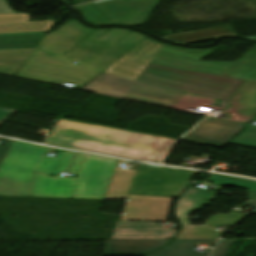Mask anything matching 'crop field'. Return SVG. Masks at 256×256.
I'll use <instances>...</instances> for the list:
<instances>
[{
	"label": "crop field",
	"instance_id": "ac0d7876",
	"mask_svg": "<svg viewBox=\"0 0 256 256\" xmlns=\"http://www.w3.org/2000/svg\"><path fill=\"white\" fill-rule=\"evenodd\" d=\"M146 38L70 20L44 36L15 76L81 89Z\"/></svg>",
	"mask_w": 256,
	"mask_h": 256
},
{
	"label": "crop field",
	"instance_id": "34b2d1b8",
	"mask_svg": "<svg viewBox=\"0 0 256 256\" xmlns=\"http://www.w3.org/2000/svg\"><path fill=\"white\" fill-rule=\"evenodd\" d=\"M153 138V135L60 119L45 144L142 161Z\"/></svg>",
	"mask_w": 256,
	"mask_h": 256
},
{
	"label": "crop field",
	"instance_id": "22f410ed",
	"mask_svg": "<svg viewBox=\"0 0 256 256\" xmlns=\"http://www.w3.org/2000/svg\"><path fill=\"white\" fill-rule=\"evenodd\" d=\"M175 139H169L164 137L155 136L150 148L148 149L143 161L162 163L166 155L171 150Z\"/></svg>",
	"mask_w": 256,
	"mask_h": 256
},
{
	"label": "crop field",
	"instance_id": "4177f3b9",
	"mask_svg": "<svg viewBox=\"0 0 256 256\" xmlns=\"http://www.w3.org/2000/svg\"><path fill=\"white\" fill-rule=\"evenodd\" d=\"M242 205H246V206H250V207L256 208V202L250 201V200L246 201V202L243 203Z\"/></svg>",
	"mask_w": 256,
	"mask_h": 256
},
{
	"label": "crop field",
	"instance_id": "730fd06b",
	"mask_svg": "<svg viewBox=\"0 0 256 256\" xmlns=\"http://www.w3.org/2000/svg\"><path fill=\"white\" fill-rule=\"evenodd\" d=\"M245 39H249V40H253L256 41V36H252V37H244Z\"/></svg>",
	"mask_w": 256,
	"mask_h": 256
},
{
	"label": "crop field",
	"instance_id": "3316defc",
	"mask_svg": "<svg viewBox=\"0 0 256 256\" xmlns=\"http://www.w3.org/2000/svg\"><path fill=\"white\" fill-rule=\"evenodd\" d=\"M169 241L157 240H106L103 256H144Z\"/></svg>",
	"mask_w": 256,
	"mask_h": 256
},
{
	"label": "crop field",
	"instance_id": "e52e79f7",
	"mask_svg": "<svg viewBox=\"0 0 256 256\" xmlns=\"http://www.w3.org/2000/svg\"><path fill=\"white\" fill-rule=\"evenodd\" d=\"M117 161L86 154L76 177L72 198L103 199Z\"/></svg>",
	"mask_w": 256,
	"mask_h": 256
},
{
	"label": "crop field",
	"instance_id": "dd49c442",
	"mask_svg": "<svg viewBox=\"0 0 256 256\" xmlns=\"http://www.w3.org/2000/svg\"><path fill=\"white\" fill-rule=\"evenodd\" d=\"M193 174L195 172L140 164L129 194L177 197Z\"/></svg>",
	"mask_w": 256,
	"mask_h": 256
},
{
	"label": "crop field",
	"instance_id": "8a807250",
	"mask_svg": "<svg viewBox=\"0 0 256 256\" xmlns=\"http://www.w3.org/2000/svg\"><path fill=\"white\" fill-rule=\"evenodd\" d=\"M209 52L171 48L147 38L82 90L179 110L211 108L220 99L223 111L230 101L228 120L246 124L256 111V55L200 62Z\"/></svg>",
	"mask_w": 256,
	"mask_h": 256
},
{
	"label": "crop field",
	"instance_id": "214f88e0",
	"mask_svg": "<svg viewBox=\"0 0 256 256\" xmlns=\"http://www.w3.org/2000/svg\"><path fill=\"white\" fill-rule=\"evenodd\" d=\"M85 154L83 153H77L76 155V158L74 160V163H73V166L71 168V171L70 173H74V174H77L78 173V170L80 168V165H81V162L83 160V157H84Z\"/></svg>",
	"mask_w": 256,
	"mask_h": 256
},
{
	"label": "crop field",
	"instance_id": "412701ff",
	"mask_svg": "<svg viewBox=\"0 0 256 256\" xmlns=\"http://www.w3.org/2000/svg\"><path fill=\"white\" fill-rule=\"evenodd\" d=\"M49 149L13 141L0 165V196L30 197L34 171L55 174L65 151L45 157Z\"/></svg>",
	"mask_w": 256,
	"mask_h": 256
},
{
	"label": "crop field",
	"instance_id": "d8731c3e",
	"mask_svg": "<svg viewBox=\"0 0 256 256\" xmlns=\"http://www.w3.org/2000/svg\"><path fill=\"white\" fill-rule=\"evenodd\" d=\"M244 126L243 124L208 117L182 140L222 147Z\"/></svg>",
	"mask_w": 256,
	"mask_h": 256
},
{
	"label": "crop field",
	"instance_id": "733c2abd",
	"mask_svg": "<svg viewBox=\"0 0 256 256\" xmlns=\"http://www.w3.org/2000/svg\"><path fill=\"white\" fill-rule=\"evenodd\" d=\"M231 144L256 148V126L248 125Z\"/></svg>",
	"mask_w": 256,
	"mask_h": 256
},
{
	"label": "crop field",
	"instance_id": "bc2a9ffb",
	"mask_svg": "<svg viewBox=\"0 0 256 256\" xmlns=\"http://www.w3.org/2000/svg\"><path fill=\"white\" fill-rule=\"evenodd\" d=\"M73 155H74V152H69V151L65 152L63 159L59 165V168L56 172V174H58V176L60 175V172H68Z\"/></svg>",
	"mask_w": 256,
	"mask_h": 256
},
{
	"label": "crop field",
	"instance_id": "5a996713",
	"mask_svg": "<svg viewBox=\"0 0 256 256\" xmlns=\"http://www.w3.org/2000/svg\"><path fill=\"white\" fill-rule=\"evenodd\" d=\"M75 179L52 178L35 172L31 197L71 198Z\"/></svg>",
	"mask_w": 256,
	"mask_h": 256
},
{
	"label": "crop field",
	"instance_id": "cbeb9de0",
	"mask_svg": "<svg viewBox=\"0 0 256 256\" xmlns=\"http://www.w3.org/2000/svg\"><path fill=\"white\" fill-rule=\"evenodd\" d=\"M209 181L219 185L256 190V182L237 177L211 174Z\"/></svg>",
	"mask_w": 256,
	"mask_h": 256
},
{
	"label": "crop field",
	"instance_id": "a9b5d70f",
	"mask_svg": "<svg viewBox=\"0 0 256 256\" xmlns=\"http://www.w3.org/2000/svg\"><path fill=\"white\" fill-rule=\"evenodd\" d=\"M249 195L247 198L256 200V191L247 190Z\"/></svg>",
	"mask_w": 256,
	"mask_h": 256
},
{
	"label": "crop field",
	"instance_id": "ae1a2a85",
	"mask_svg": "<svg viewBox=\"0 0 256 256\" xmlns=\"http://www.w3.org/2000/svg\"><path fill=\"white\" fill-rule=\"evenodd\" d=\"M254 214H256V212H254Z\"/></svg>",
	"mask_w": 256,
	"mask_h": 256
},
{
	"label": "crop field",
	"instance_id": "28ad6ade",
	"mask_svg": "<svg viewBox=\"0 0 256 256\" xmlns=\"http://www.w3.org/2000/svg\"><path fill=\"white\" fill-rule=\"evenodd\" d=\"M220 36H237L231 25L161 37L175 43L190 44L202 41L212 40Z\"/></svg>",
	"mask_w": 256,
	"mask_h": 256
},
{
	"label": "crop field",
	"instance_id": "5142ce71",
	"mask_svg": "<svg viewBox=\"0 0 256 256\" xmlns=\"http://www.w3.org/2000/svg\"><path fill=\"white\" fill-rule=\"evenodd\" d=\"M221 233L208 227H201L197 230L182 229L176 239L218 238Z\"/></svg>",
	"mask_w": 256,
	"mask_h": 256
},
{
	"label": "crop field",
	"instance_id": "dafd665d",
	"mask_svg": "<svg viewBox=\"0 0 256 256\" xmlns=\"http://www.w3.org/2000/svg\"><path fill=\"white\" fill-rule=\"evenodd\" d=\"M0 13H15L7 5L5 0H0Z\"/></svg>",
	"mask_w": 256,
	"mask_h": 256
},
{
	"label": "crop field",
	"instance_id": "d9b57169",
	"mask_svg": "<svg viewBox=\"0 0 256 256\" xmlns=\"http://www.w3.org/2000/svg\"><path fill=\"white\" fill-rule=\"evenodd\" d=\"M244 216H246V214L232 211L228 215L220 214L209 218L205 225L217 228L219 225H224L225 223L228 225L235 224Z\"/></svg>",
	"mask_w": 256,
	"mask_h": 256
},
{
	"label": "crop field",
	"instance_id": "92a150f3",
	"mask_svg": "<svg viewBox=\"0 0 256 256\" xmlns=\"http://www.w3.org/2000/svg\"><path fill=\"white\" fill-rule=\"evenodd\" d=\"M12 141L10 140H6V142L4 143L3 146H0V164L6 154V152L8 151L10 145H11Z\"/></svg>",
	"mask_w": 256,
	"mask_h": 256
},
{
	"label": "crop field",
	"instance_id": "00972430",
	"mask_svg": "<svg viewBox=\"0 0 256 256\" xmlns=\"http://www.w3.org/2000/svg\"><path fill=\"white\" fill-rule=\"evenodd\" d=\"M13 110H7L0 108V124L13 113Z\"/></svg>",
	"mask_w": 256,
	"mask_h": 256
},
{
	"label": "crop field",
	"instance_id": "f4fd0767",
	"mask_svg": "<svg viewBox=\"0 0 256 256\" xmlns=\"http://www.w3.org/2000/svg\"><path fill=\"white\" fill-rule=\"evenodd\" d=\"M119 160L104 199L127 198L119 220L166 222L173 198L128 195L137 170L119 168Z\"/></svg>",
	"mask_w": 256,
	"mask_h": 256
},
{
	"label": "crop field",
	"instance_id": "eef30255",
	"mask_svg": "<svg viewBox=\"0 0 256 256\" xmlns=\"http://www.w3.org/2000/svg\"><path fill=\"white\" fill-rule=\"evenodd\" d=\"M253 121H256V115H255V117L253 118Z\"/></svg>",
	"mask_w": 256,
	"mask_h": 256
},
{
	"label": "crop field",
	"instance_id": "d1516ede",
	"mask_svg": "<svg viewBox=\"0 0 256 256\" xmlns=\"http://www.w3.org/2000/svg\"><path fill=\"white\" fill-rule=\"evenodd\" d=\"M217 239H197V240H175L167 248L148 256H208L210 251L205 253L194 251L196 242L215 244Z\"/></svg>",
	"mask_w": 256,
	"mask_h": 256
},
{
	"label": "crop field",
	"instance_id": "4a817a6b",
	"mask_svg": "<svg viewBox=\"0 0 256 256\" xmlns=\"http://www.w3.org/2000/svg\"><path fill=\"white\" fill-rule=\"evenodd\" d=\"M234 241H221L219 240L217 247L212 256H226L227 252L233 245Z\"/></svg>",
	"mask_w": 256,
	"mask_h": 256
}]
</instances>
